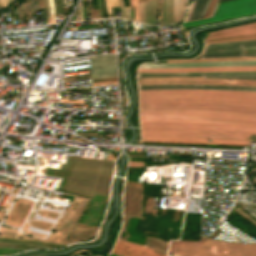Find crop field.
Instances as JSON below:
<instances>
[{"label": "crop field", "instance_id": "obj_1", "mask_svg": "<svg viewBox=\"0 0 256 256\" xmlns=\"http://www.w3.org/2000/svg\"><path fill=\"white\" fill-rule=\"evenodd\" d=\"M139 93L252 95L256 92L230 90H150ZM227 95L139 94L140 110L172 109L256 113V97Z\"/></svg>", "mask_w": 256, "mask_h": 256}, {"label": "crop field", "instance_id": "obj_2", "mask_svg": "<svg viewBox=\"0 0 256 256\" xmlns=\"http://www.w3.org/2000/svg\"><path fill=\"white\" fill-rule=\"evenodd\" d=\"M142 137L201 138L248 141L256 126L141 122Z\"/></svg>", "mask_w": 256, "mask_h": 256}, {"label": "crop field", "instance_id": "obj_3", "mask_svg": "<svg viewBox=\"0 0 256 256\" xmlns=\"http://www.w3.org/2000/svg\"><path fill=\"white\" fill-rule=\"evenodd\" d=\"M141 121L196 122L235 125H256V114L231 112H197L149 110L140 111Z\"/></svg>", "mask_w": 256, "mask_h": 256}, {"label": "crop field", "instance_id": "obj_4", "mask_svg": "<svg viewBox=\"0 0 256 256\" xmlns=\"http://www.w3.org/2000/svg\"><path fill=\"white\" fill-rule=\"evenodd\" d=\"M169 251L183 256H256V243L238 244L202 237L200 242L171 241Z\"/></svg>", "mask_w": 256, "mask_h": 256}, {"label": "crop field", "instance_id": "obj_5", "mask_svg": "<svg viewBox=\"0 0 256 256\" xmlns=\"http://www.w3.org/2000/svg\"><path fill=\"white\" fill-rule=\"evenodd\" d=\"M226 1L230 0H219L218 3ZM254 13H256V0H235L217 5L211 18L183 23L180 27L203 25Z\"/></svg>", "mask_w": 256, "mask_h": 256}, {"label": "crop field", "instance_id": "obj_6", "mask_svg": "<svg viewBox=\"0 0 256 256\" xmlns=\"http://www.w3.org/2000/svg\"><path fill=\"white\" fill-rule=\"evenodd\" d=\"M254 45L256 40L206 45L201 58L256 56V53L244 54L242 49V47Z\"/></svg>", "mask_w": 256, "mask_h": 256}, {"label": "crop field", "instance_id": "obj_7", "mask_svg": "<svg viewBox=\"0 0 256 256\" xmlns=\"http://www.w3.org/2000/svg\"><path fill=\"white\" fill-rule=\"evenodd\" d=\"M223 71H256V66L251 67H205V68H149L138 69L140 72H223Z\"/></svg>", "mask_w": 256, "mask_h": 256}, {"label": "crop field", "instance_id": "obj_8", "mask_svg": "<svg viewBox=\"0 0 256 256\" xmlns=\"http://www.w3.org/2000/svg\"><path fill=\"white\" fill-rule=\"evenodd\" d=\"M91 75L117 72L114 54L96 55L90 57Z\"/></svg>", "mask_w": 256, "mask_h": 256}, {"label": "crop field", "instance_id": "obj_9", "mask_svg": "<svg viewBox=\"0 0 256 256\" xmlns=\"http://www.w3.org/2000/svg\"><path fill=\"white\" fill-rule=\"evenodd\" d=\"M139 90L150 89H231L256 91L253 87L216 86V85H143L138 86Z\"/></svg>", "mask_w": 256, "mask_h": 256}, {"label": "crop field", "instance_id": "obj_10", "mask_svg": "<svg viewBox=\"0 0 256 256\" xmlns=\"http://www.w3.org/2000/svg\"><path fill=\"white\" fill-rule=\"evenodd\" d=\"M229 65H256V60L230 61V62H203V63L142 64L139 68L177 67V66H229Z\"/></svg>", "mask_w": 256, "mask_h": 256}, {"label": "crop field", "instance_id": "obj_11", "mask_svg": "<svg viewBox=\"0 0 256 256\" xmlns=\"http://www.w3.org/2000/svg\"><path fill=\"white\" fill-rule=\"evenodd\" d=\"M185 76H207V77H215V78L256 79V74H172V75H138V78H149V77H185Z\"/></svg>", "mask_w": 256, "mask_h": 256}, {"label": "crop field", "instance_id": "obj_12", "mask_svg": "<svg viewBox=\"0 0 256 256\" xmlns=\"http://www.w3.org/2000/svg\"><path fill=\"white\" fill-rule=\"evenodd\" d=\"M255 32H256V23L213 32L210 34L208 39L244 35V34H250Z\"/></svg>", "mask_w": 256, "mask_h": 256}, {"label": "crop field", "instance_id": "obj_13", "mask_svg": "<svg viewBox=\"0 0 256 256\" xmlns=\"http://www.w3.org/2000/svg\"><path fill=\"white\" fill-rule=\"evenodd\" d=\"M157 0H149V24H155ZM144 23L148 24V0L144 1Z\"/></svg>", "mask_w": 256, "mask_h": 256}, {"label": "crop field", "instance_id": "obj_14", "mask_svg": "<svg viewBox=\"0 0 256 256\" xmlns=\"http://www.w3.org/2000/svg\"><path fill=\"white\" fill-rule=\"evenodd\" d=\"M249 39H256V33L250 34V35H244V36H237V37L212 39V40H208L206 44L233 42V41H241V40H249Z\"/></svg>", "mask_w": 256, "mask_h": 256}, {"label": "crop field", "instance_id": "obj_15", "mask_svg": "<svg viewBox=\"0 0 256 256\" xmlns=\"http://www.w3.org/2000/svg\"><path fill=\"white\" fill-rule=\"evenodd\" d=\"M183 8H184V0H174L172 23L178 22L181 20Z\"/></svg>", "mask_w": 256, "mask_h": 256}, {"label": "crop field", "instance_id": "obj_16", "mask_svg": "<svg viewBox=\"0 0 256 256\" xmlns=\"http://www.w3.org/2000/svg\"><path fill=\"white\" fill-rule=\"evenodd\" d=\"M206 0H196L193 14L190 20L198 19L203 11Z\"/></svg>", "mask_w": 256, "mask_h": 256}, {"label": "crop field", "instance_id": "obj_17", "mask_svg": "<svg viewBox=\"0 0 256 256\" xmlns=\"http://www.w3.org/2000/svg\"><path fill=\"white\" fill-rule=\"evenodd\" d=\"M173 0H165V23H171Z\"/></svg>", "mask_w": 256, "mask_h": 256}, {"label": "crop field", "instance_id": "obj_18", "mask_svg": "<svg viewBox=\"0 0 256 256\" xmlns=\"http://www.w3.org/2000/svg\"><path fill=\"white\" fill-rule=\"evenodd\" d=\"M105 4H106V7H107L108 16L112 17L110 7H119L118 0H105Z\"/></svg>", "mask_w": 256, "mask_h": 256}, {"label": "crop field", "instance_id": "obj_19", "mask_svg": "<svg viewBox=\"0 0 256 256\" xmlns=\"http://www.w3.org/2000/svg\"><path fill=\"white\" fill-rule=\"evenodd\" d=\"M44 6H45L46 21H47V23H51L50 16H49L48 0H44Z\"/></svg>", "mask_w": 256, "mask_h": 256}, {"label": "crop field", "instance_id": "obj_20", "mask_svg": "<svg viewBox=\"0 0 256 256\" xmlns=\"http://www.w3.org/2000/svg\"><path fill=\"white\" fill-rule=\"evenodd\" d=\"M144 166L143 162L129 161L127 167H141Z\"/></svg>", "mask_w": 256, "mask_h": 256}, {"label": "crop field", "instance_id": "obj_21", "mask_svg": "<svg viewBox=\"0 0 256 256\" xmlns=\"http://www.w3.org/2000/svg\"><path fill=\"white\" fill-rule=\"evenodd\" d=\"M49 5H50L51 21H52V23H54L55 22V18H54V10H53V0H49Z\"/></svg>", "mask_w": 256, "mask_h": 256}, {"label": "crop field", "instance_id": "obj_22", "mask_svg": "<svg viewBox=\"0 0 256 256\" xmlns=\"http://www.w3.org/2000/svg\"><path fill=\"white\" fill-rule=\"evenodd\" d=\"M139 22L143 23V2L139 4Z\"/></svg>", "mask_w": 256, "mask_h": 256}, {"label": "crop field", "instance_id": "obj_23", "mask_svg": "<svg viewBox=\"0 0 256 256\" xmlns=\"http://www.w3.org/2000/svg\"><path fill=\"white\" fill-rule=\"evenodd\" d=\"M142 139H168V140H196V141H208V140H199V139H171V138H142Z\"/></svg>", "mask_w": 256, "mask_h": 256}, {"label": "crop field", "instance_id": "obj_24", "mask_svg": "<svg viewBox=\"0 0 256 256\" xmlns=\"http://www.w3.org/2000/svg\"><path fill=\"white\" fill-rule=\"evenodd\" d=\"M224 73H256V72H224ZM140 74H169V73H140Z\"/></svg>", "mask_w": 256, "mask_h": 256}, {"label": "crop field", "instance_id": "obj_25", "mask_svg": "<svg viewBox=\"0 0 256 256\" xmlns=\"http://www.w3.org/2000/svg\"><path fill=\"white\" fill-rule=\"evenodd\" d=\"M216 142H228V143H247V142H237V141H222V140H211Z\"/></svg>", "mask_w": 256, "mask_h": 256}, {"label": "crop field", "instance_id": "obj_26", "mask_svg": "<svg viewBox=\"0 0 256 256\" xmlns=\"http://www.w3.org/2000/svg\"><path fill=\"white\" fill-rule=\"evenodd\" d=\"M124 8H125V13H126V14H130V9H129V7H124ZM126 17H127V19L130 20V15H126Z\"/></svg>", "mask_w": 256, "mask_h": 256}, {"label": "crop field", "instance_id": "obj_27", "mask_svg": "<svg viewBox=\"0 0 256 256\" xmlns=\"http://www.w3.org/2000/svg\"><path fill=\"white\" fill-rule=\"evenodd\" d=\"M119 5H120V10H121V16H122V18H124L125 13H124V15H123L121 0H119ZM125 18H126V17H125Z\"/></svg>", "mask_w": 256, "mask_h": 256}, {"label": "crop field", "instance_id": "obj_28", "mask_svg": "<svg viewBox=\"0 0 256 256\" xmlns=\"http://www.w3.org/2000/svg\"><path fill=\"white\" fill-rule=\"evenodd\" d=\"M213 2H214V0H211V3H210L209 8H208V10H207V13L205 12V13H206L205 17L207 16V14H208V12H209V10H210V8H211ZM205 17H204V18H205Z\"/></svg>", "mask_w": 256, "mask_h": 256}, {"label": "crop field", "instance_id": "obj_29", "mask_svg": "<svg viewBox=\"0 0 256 256\" xmlns=\"http://www.w3.org/2000/svg\"><path fill=\"white\" fill-rule=\"evenodd\" d=\"M244 50H249V49H256V46L254 47H246V48H243Z\"/></svg>", "mask_w": 256, "mask_h": 256}, {"label": "crop field", "instance_id": "obj_30", "mask_svg": "<svg viewBox=\"0 0 256 256\" xmlns=\"http://www.w3.org/2000/svg\"><path fill=\"white\" fill-rule=\"evenodd\" d=\"M216 2H217V0H215V2H214L213 6H212V9H211V11H210V14H211V12H212V10H213V8H214ZM210 14H209V16H210ZM209 16H208V17H209Z\"/></svg>", "mask_w": 256, "mask_h": 256}, {"label": "crop field", "instance_id": "obj_31", "mask_svg": "<svg viewBox=\"0 0 256 256\" xmlns=\"http://www.w3.org/2000/svg\"><path fill=\"white\" fill-rule=\"evenodd\" d=\"M62 3H63V7L67 6L66 0H62Z\"/></svg>", "mask_w": 256, "mask_h": 256}, {"label": "crop field", "instance_id": "obj_32", "mask_svg": "<svg viewBox=\"0 0 256 256\" xmlns=\"http://www.w3.org/2000/svg\"><path fill=\"white\" fill-rule=\"evenodd\" d=\"M21 14L22 16H24L22 4H21Z\"/></svg>", "mask_w": 256, "mask_h": 256}, {"label": "crop field", "instance_id": "obj_33", "mask_svg": "<svg viewBox=\"0 0 256 256\" xmlns=\"http://www.w3.org/2000/svg\"><path fill=\"white\" fill-rule=\"evenodd\" d=\"M134 4V0H130V5H133Z\"/></svg>", "mask_w": 256, "mask_h": 256}, {"label": "crop field", "instance_id": "obj_34", "mask_svg": "<svg viewBox=\"0 0 256 256\" xmlns=\"http://www.w3.org/2000/svg\"><path fill=\"white\" fill-rule=\"evenodd\" d=\"M6 3H7V0H4L3 5H6Z\"/></svg>", "mask_w": 256, "mask_h": 256}, {"label": "crop field", "instance_id": "obj_35", "mask_svg": "<svg viewBox=\"0 0 256 256\" xmlns=\"http://www.w3.org/2000/svg\"><path fill=\"white\" fill-rule=\"evenodd\" d=\"M79 10H80V17H81V9H80V6H79ZM81 20H82V17H81Z\"/></svg>", "mask_w": 256, "mask_h": 256}, {"label": "crop field", "instance_id": "obj_36", "mask_svg": "<svg viewBox=\"0 0 256 256\" xmlns=\"http://www.w3.org/2000/svg\"><path fill=\"white\" fill-rule=\"evenodd\" d=\"M12 2V0H8V5Z\"/></svg>", "mask_w": 256, "mask_h": 256}, {"label": "crop field", "instance_id": "obj_37", "mask_svg": "<svg viewBox=\"0 0 256 256\" xmlns=\"http://www.w3.org/2000/svg\"><path fill=\"white\" fill-rule=\"evenodd\" d=\"M2 1H3V0H0V6H2Z\"/></svg>", "mask_w": 256, "mask_h": 256}]
</instances>
